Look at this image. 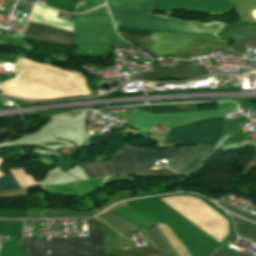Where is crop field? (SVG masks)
<instances>
[{"label": "crop field", "instance_id": "8a807250", "mask_svg": "<svg viewBox=\"0 0 256 256\" xmlns=\"http://www.w3.org/2000/svg\"><path fill=\"white\" fill-rule=\"evenodd\" d=\"M219 148L209 146H187L174 149H142L125 145L110 159L115 174H137L149 168L161 158H168L171 169L190 174ZM137 160V162H135Z\"/></svg>", "mask_w": 256, "mask_h": 256}, {"label": "crop field", "instance_id": "ac0d7876", "mask_svg": "<svg viewBox=\"0 0 256 256\" xmlns=\"http://www.w3.org/2000/svg\"><path fill=\"white\" fill-rule=\"evenodd\" d=\"M152 0H108L116 25L174 33L219 37L225 23L182 21L150 14Z\"/></svg>", "mask_w": 256, "mask_h": 256}, {"label": "crop field", "instance_id": "34b2d1b8", "mask_svg": "<svg viewBox=\"0 0 256 256\" xmlns=\"http://www.w3.org/2000/svg\"><path fill=\"white\" fill-rule=\"evenodd\" d=\"M117 28L124 35L160 57L175 54L179 55L178 59H190L189 53H203L212 49L231 48L229 40L140 30L120 26H117Z\"/></svg>", "mask_w": 256, "mask_h": 256}, {"label": "crop field", "instance_id": "412701ff", "mask_svg": "<svg viewBox=\"0 0 256 256\" xmlns=\"http://www.w3.org/2000/svg\"><path fill=\"white\" fill-rule=\"evenodd\" d=\"M20 247L30 256H46V239L23 237ZM49 256H105L98 220H88V238L49 239Z\"/></svg>", "mask_w": 256, "mask_h": 256}, {"label": "crop field", "instance_id": "f4fd0767", "mask_svg": "<svg viewBox=\"0 0 256 256\" xmlns=\"http://www.w3.org/2000/svg\"><path fill=\"white\" fill-rule=\"evenodd\" d=\"M58 11L37 5L28 26L74 35L73 22L56 18ZM28 27L24 34L31 37L62 44H74V36Z\"/></svg>", "mask_w": 256, "mask_h": 256}, {"label": "crop field", "instance_id": "dd49c442", "mask_svg": "<svg viewBox=\"0 0 256 256\" xmlns=\"http://www.w3.org/2000/svg\"><path fill=\"white\" fill-rule=\"evenodd\" d=\"M224 116L198 120L171 128L165 143L215 146L223 136Z\"/></svg>", "mask_w": 256, "mask_h": 256}, {"label": "crop field", "instance_id": "e52e79f7", "mask_svg": "<svg viewBox=\"0 0 256 256\" xmlns=\"http://www.w3.org/2000/svg\"><path fill=\"white\" fill-rule=\"evenodd\" d=\"M75 43L127 44L116 33L109 16L75 18Z\"/></svg>", "mask_w": 256, "mask_h": 256}, {"label": "crop field", "instance_id": "d8731c3e", "mask_svg": "<svg viewBox=\"0 0 256 256\" xmlns=\"http://www.w3.org/2000/svg\"><path fill=\"white\" fill-rule=\"evenodd\" d=\"M235 106L228 107L219 110L207 111V112H189V113H177V114H150L133 108L132 114H120V117H125L132 121L143 123L146 125H154L161 122H170L175 124L187 123L192 120L201 119L204 117L223 115L233 113Z\"/></svg>", "mask_w": 256, "mask_h": 256}, {"label": "crop field", "instance_id": "5a996713", "mask_svg": "<svg viewBox=\"0 0 256 256\" xmlns=\"http://www.w3.org/2000/svg\"><path fill=\"white\" fill-rule=\"evenodd\" d=\"M185 9L207 14L222 15L232 11V0H154L152 9Z\"/></svg>", "mask_w": 256, "mask_h": 256}, {"label": "crop field", "instance_id": "3316defc", "mask_svg": "<svg viewBox=\"0 0 256 256\" xmlns=\"http://www.w3.org/2000/svg\"><path fill=\"white\" fill-rule=\"evenodd\" d=\"M200 75V72L193 63L177 66L165 70V68H152V71H146L131 75L129 79H149L161 77H190Z\"/></svg>", "mask_w": 256, "mask_h": 256}, {"label": "crop field", "instance_id": "28ad6ade", "mask_svg": "<svg viewBox=\"0 0 256 256\" xmlns=\"http://www.w3.org/2000/svg\"><path fill=\"white\" fill-rule=\"evenodd\" d=\"M221 37L236 41L256 40V24L242 21L232 23L221 32Z\"/></svg>", "mask_w": 256, "mask_h": 256}, {"label": "crop field", "instance_id": "d1516ede", "mask_svg": "<svg viewBox=\"0 0 256 256\" xmlns=\"http://www.w3.org/2000/svg\"><path fill=\"white\" fill-rule=\"evenodd\" d=\"M98 218H101L103 221L108 223L112 228H114L121 235L126 234L131 231L141 229L139 226L126 219L116 211H111L105 215H102Z\"/></svg>", "mask_w": 256, "mask_h": 256}, {"label": "crop field", "instance_id": "22f410ed", "mask_svg": "<svg viewBox=\"0 0 256 256\" xmlns=\"http://www.w3.org/2000/svg\"><path fill=\"white\" fill-rule=\"evenodd\" d=\"M157 230L164 237L167 245L169 246L173 256H190L184 245L172 233L170 228L162 223L156 225Z\"/></svg>", "mask_w": 256, "mask_h": 256}, {"label": "crop field", "instance_id": "cbeb9de0", "mask_svg": "<svg viewBox=\"0 0 256 256\" xmlns=\"http://www.w3.org/2000/svg\"><path fill=\"white\" fill-rule=\"evenodd\" d=\"M81 167L88 179L112 175L108 162L81 164Z\"/></svg>", "mask_w": 256, "mask_h": 256}, {"label": "crop field", "instance_id": "5142ce71", "mask_svg": "<svg viewBox=\"0 0 256 256\" xmlns=\"http://www.w3.org/2000/svg\"><path fill=\"white\" fill-rule=\"evenodd\" d=\"M196 104L188 105H169V106H151V107H137V109L151 112V113H176L184 111L195 110Z\"/></svg>", "mask_w": 256, "mask_h": 256}, {"label": "crop field", "instance_id": "d9b57169", "mask_svg": "<svg viewBox=\"0 0 256 256\" xmlns=\"http://www.w3.org/2000/svg\"><path fill=\"white\" fill-rule=\"evenodd\" d=\"M233 218V217H232ZM234 219L237 233L240 237L247 236L256 241V226L243 222L238 219ZM256 246V244H255Z\"/></svg>", "mask_w": 256, "mask_h": 256}, {"label": "crop field", "instance_id": "733c2abd", "mask_svg": "<svg viewBox=\"0 0 256 256\" xmlns=\"http://www.w3.org/2000/svg\"><path fill=\"white\" fill-rule=\"evenodd\" d=\"M156 254H161V253L158 250L147 247V248L124 251L121 253L106 254V256H145V255H156ZM156 256H161V255H156Z\"/></svg>", "mask_w": 256, "mask_h": 256}, {"label": "crop field", "instance_id": "4a817a6b", "mask_svg": "<svg viewBox=\"0 0 256 256\" xmlns=\"http://www.w3.org/2000/svg\"><path fill=\"white\" fill-rule=\"evenodd\" d=\"M11 173L21 186V188L28 187V186H36L32 176L26 175L23 169L18 170H11Z\"/></svg>", "mask_w": 256, "mask_h": 256}, {"label": "crop field", "instance_id": "bc2a9ffb", "mask_svg": "<svg viewBox=\"0 0 256 256\" xmlns=\"http://www.w3.org/2000/svg\"><path fill=\"white\" fill-rule=\"evenodd\" d=\"M19 185L16 180L13 178L11 173H8L0 177V191L2 190H14L19 189Z\"/></svg>", "mask_w": 256, "mask_h": 256}, {"label": "crop field", "instance_id": "214f88e0", "mask_svg": "<svg viewBox=\"0 0 256 256\" xmlns=\"http://www.w3.org/2000/svg\"><path fill=\"white\" fill-rule=\"evenodd\" d=\"M103 4L104 0H82L78 3L75 13L85 12Z\"/></svg>", "mask_w": 256, "mask_h": 256}, {"label": "crop field", "instance_id": "92a150f3", "mask_svg": "<svg viewBox=\"0 0 256 256\" xmlns=\"http://www.w3.org/2000/svg\"><path fill=\"white\" fill-rule=\"evenodd\" d=\"M178 174L173 173L169 170H147L137 176L152 177V176H176Z\"/></svg>", "mask_w": 256, "mask_h": 256}, {"label": "crop field", "instance_id": "dafd665d", "mask_svg": "<svg viewBox=\"0 0 256 256\" xmlns=\"http://www.w3.org/2000/svg\"><path fill=\"white\" fill-rule=\"evenodd\" d=\"M217 202H218L219 204H221L223 207H225L226 209H228V210H230V211H232V212H234V213H236V214H239V215H242V216L251 218V219H253V220H256V216H254V215H252V214H250V213H247V212H245V211H243V210H240V209H238V208H236V207H233V206H231V205H228V204H226V203H224V202H221V201H217Z\"/></svg>", "mask_w": 256, "mask_h": 256}, {"label": "crop field", "instance_id": "00972430", "mask_svg": "<svg viewBox=\"0 0 256 256\" xmlns=\"http://www.w3.org/2000/svg\"><path fill=\"white\" fill-rule=\"evenodd\" d=\"M100 15H109L106 6H103L101 8H98L96 10L87 12L85 14L82 15H74L75 17H83V16H100Z\"/></svg>", "mask_w": 256, "mask_h": 256}, {"label": "crop field", "instance_id": "a9b5d70f", "mask_svg": "<svg viewBox=\"0 0 256 256\" xmlns=\"http://www.w3.org/2000/svg\"><path fill=\"white\" fill-rule=\"evenodd\" d=\"M15 135V131L7 128L0 132V142L10 139L12 136Z\"/></svg>", "mask_w": 256, "mask_h": 256}, {"label": "crop field", "instance_id": "4177f3b9", "mask_svg": "<svg viewBox=\"0 0 256 256\" xmlns=\"http://www.w3.org/2000/svg\"><path fill=\"white\" fill-rule=\"evenodd\" d=\"M212 256H249V255L234 254V253L228 252L222 248H219Z\"/></svg>", "mask_w": 256, "mask_h": 256}, {"label": "crop field", "instance_id": "730fd06b", "mask_svg": "<svg viewBox=\"0 0 256 256\" xmlns=\"http://www.w3.org/2000/svg\"><path fill=\"white\" fill-rule=\"evenodd\" d=\"M2 163H3V159L0 158V166L2 165ZM3 174H4V173H1V172H0V176L3 175Z\"/></svg>", "mask_w": 256, "mask_h": 256}]
</instances>
